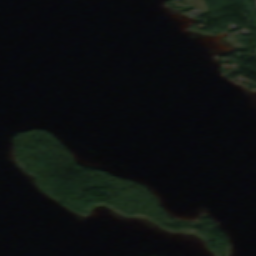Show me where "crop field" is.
<instances>
[{
    "instance_id": "crop-field-1",
    "label": "crop field",
    "mask_w": 256,
    "mask_h": 256,
    "mask_svg": "<svg viewBox=\"0 0 256 256\" xmlns=\"http://www.w3.org/2000/svg\"><path fill=\"white\" fill-rule=\"evenodd\" d=\"M188 3H190L191 5L195 6L196 8H198L199 10L205 13L209 12V10L205 8L202 0H190Z\"/></svg>"
}]
</instances>
